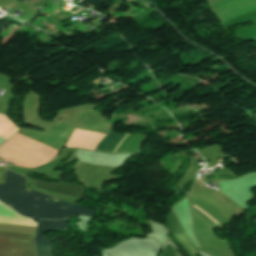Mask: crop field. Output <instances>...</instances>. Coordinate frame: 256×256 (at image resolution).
<instances>
[{"label": "crop field", "mask_w": 256, "mask_h": 256, "mask_svg": "<svg viewBox=\"0 0 256 256\" xmlns=\"http://www.w3.org/2000/svg\"><path fill=\"white\" fill-rule=\"evenodd\" d=\"M32 181L35 184L36 188H39V189L66 194L70 196H75L79 198H81L82 196L83 188L76 187L77 185L70 186V185H65L60 183H49V182L35 181V180H32ZM71 185H74V184H71Z\"/></svg>", "instance_id": "412701ff"}, {"label": "crop field", "mask_w": 256, "mask_h": 256, "mask_svg": "<svg viewBox=\"0 0 256 256\" xmlns=\"http://www.w3.org/2000/svg\"><path fill=\"white\" fill-rule=\"evenodd\" d=\"M26 180L23 176L7 171L4 185L0 184V201L19 214L32 219H63L74 215L91 217L93 212L31 190L23 191ZM46 199L44 200V198ZM68 209L71 212L47 203Z\"/></svg>", "instance_id": "8a807250"}, {"label": "crop field", "mask_w": 256, "mask_h": 256, "mask_svg": "<svg viewBox=\"0 0 256 256\" xmlns=\"http://www.w3.org/2000/svg\"><path fill=\"white\" fill-rule=\"evenodd\" d=\"M124 136H125V134H115L110 130L109 133L104 137V139L98 144L96 150L103 151V152H113V150L116 148V146L119 144V142L122 140V138ZM126 136H127V134H126ZM124 138H123V140H124ZM121 142H120V144H121ZM118 146H117V148H118ZM115 150H114V152H115Z\"/></svg>", "instance_id": "dd49c442"}, {"label": "crop field", "mask_w": 256, "mask_h": 256, "mask_svg": "<svg viewBox=\"0 0 256 256\" xmlns=\"http://www.w3.org/2000/svg\"><path fill=\"white\" fill-rule=\"evenodd\" d=\"M103 134L75 129L66 147H80L95 149Z\"/></svg>", "instance_id": "34b2d1b8"}, {"label": "crop field", "mask_w": 256, "mask_h": 256, "mask_svg": "<svg viewBox=\"0 0 256 256\" xmlns=\"http://www.w3.org/2000/svg\"><path fill=\"white\" fill-rule=\"evenodd\" d=\"M193 208L196 209L199 213H201L203 216H205L208 220H210L213 224H215L217 226L218 223H216L213 219H211L209 216H207L205 213H203L201 210H199L197 207H195L193 205ZM192 208L193 211H195L198 215H200L202 218H204L201 214H199L196 210H194ZM206 218H204L207 222H209L212 226H214L215 228H217L215 225H213L210 221H208Z\"/></svg>", "instance_id": "d8731c3e"}, {"label": "crop field", "mask_w": 256, "mask_h": 256, "mask_svg": "<svg viewBox=\"0 0 256 256\" xmlns=\"http://www.w3.org/2000/svg\"><path fill=\"white\" fill-rule=\"evenodd\" d=\"M57 151L16 134L0 146V158L23 167H36L48 162Z\"/></svg>", "instance_id": "ac0d7876"}, {"label": "crop field", "mask_w": 256, "mask_h": 256, "mask_svg": "<svg viewBox=\"0 0 256 256\" xmlns=\"http://www.w3.org/2000/svg\"><path fill=\"white\" fill-rule=\"evenodd\" d=\"M37 256H52V247L50 244L35 245Z\"/></svg>", "instance_id": "e52e79f7"}, {"label": "crop field", "mask_w": 256, "mask_h": 256, "mask_svg": "<svg viewBox=\"0 0 256 256\" xmlns=\"http://www.w3.org/2000/svg\"><path fill=\"white\" fill-rule=\"evenodd\" d=\"M68 220L69 219L58 221L38 220L35 244L50 243L48 238L43 234L49 230H67L66 227Z\"/></svg>", "instance_id": "f4fd0767"}]
</instances>
